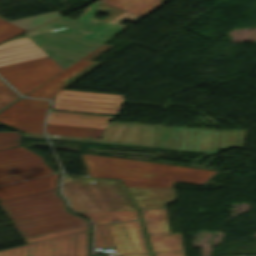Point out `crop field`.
<instances>
[{
    "instance_id": "1",
    "label": "crop field",
    "mask_w": 256,
    "mask_h": 256,
    "mask_svg": "<svg viewBox=\"0 0 256 256\" xmlns=\"http://www.w3.org/2000/svg\"><path fill=\"white\" fill-rule=\"evenodd\" d=\"M80 155L90 177L121 179L125 187L172 188L173 182L202 185L218 173L107 156Z\"/></svg>"
},
{
    "instance_id": "2",
    "label": "crop field",
    "mask_w": 256,
    "mask_h": 256,
    "mask_svg": "<svg viewBox=\"0 0 256 256\" xmlns=\"http://www.w3.org/2000/svg\"><path fill=\"white\" fill-rule=\"evenodd\" d=\"M57 190L0 202L23 237L86 223L67 212Z\"/></svg>"
},
{
    "instance_id": "3",
    "label": "crop field",
    "mask_w": 256,
    "mask_h": 256,
    "mask_svg": "<svg viewBox=\"0 0 256 256\" xmlns=\"http://www.w3.org/2000/svg\"><path fill=\"white\" fill-rule=\"evenodd\" d=\"M79 214L91 218L94 223V247L114 246L118 255L149 253L136 210Z\"/></svg>"
},
{
    "instance_id": "4",
    "label": "crop field",
    "mask_w": 256,
    "mask_h": 256,
    "mask_svg": "<svg viewBox=\"0 0 256 256\" xmlns=\"http://www.w3.org/2000/svg\"><path fill=\"white\" fill-rule=\"evenodd\" d=\"M62 192L75 212L136 209L118 180L76 179L64 175Z\"/></svg>"
},
{
    "instance_id": "5",
    "label": "crop field",
    "mask_w": 256,
    "mask_h": 256,
    "mask_svg": "<svg viewBox=\"0 0 256 256\" xmlns=\"http://www.w3.org/2000/svg\"><path fill=\"white\" fill-rule=\"evenodd\" d=\"M28 245L0 251V256H89V224L24 238Z\"/></svg>"
},
{
    "instance_id": "6",
    "label": "crop field",
    "mask_w": 256,
    "mask_h": 256,
    "mask_svg": "<svg viewBox=\"0 0 256 256\" xmlns=\"http://www.w3.org/2000/svg\"><path fill=\"white\" fill-rule=\"evenodd\" d=\"M172 128L108 123L100 139L48 135L50 140L169 150ZM160 132L162 135L160 136Z\"/></svg>"
},
{
    "instance_id": "7",
    "label": "crop field",
    "mask_w": 256,
    "mask_h": 256,
    "mask_svg": "<svg viewBox=\"0 0 256 256\" xmlns=\"http://www.w3.org/2000/svg\"><path fill=\"white\" fill-rule=\"evenodd\" d=\"M61 71L49 57L0 67V75L23 96Z\"/></svg>"
},
{
    "instance_id": "8",
    "label": "crop field",
    "mask_w": 256,
    "mask_h": 256,
    "mask_svg": "<svg viewBox=\"0 0 256 256\" xmlns=\"http://www.w3.org/2000/svg\"><path fill=\"white\" fill-rule=\"evenodd\" d=\"M52 172L39 155L23 147L0 150V184Z\"/></svg>"
},
{
    "instance_id": "9",
    "label": "crop field",
    "mask_w": 256,
    "mask_h": 256,
    "mask_svg": "<svg viewBox=\"0 0 256 256\" xmlns=\"http://www.w3.org/2000/svg\"><path fill=\"white\" fill-rule=\"evenodd\" d=\"M122 100V95L62 90L53 109L116 115Z\"/></svg>"
},
{
    "instance_id": "10",
    "label": "crop field",
    "mask_w": 256,
    "mask_h": 256,
    "mask_svg": "<svg viewBox=\"0 0 256 256\" xmlns=\"http://www.w3.org/2000/svg\"><path fill=\"white\" fill-rule=\"evenodd\" d=\"M49 102L21 99L0 113V122L23 132L43 133L41 127Z\"/></svg>"
},
{
    "instance_id": "11",
    "label": "crop field",
    "mask_w": 256,
    "mask_h": 256,
    "mask_svg": "<svg viewBox=\"0 0 256 256\" xmlns=\"http://www.w3.org/2000/svg\"><path fill=\"white\" fill-rule=\"evenodd\" d=\"M140 211L153 252L183 250L180 234H169L165 209Z\"/></svg>"
},
{
    "instance_id": "12",
    "label": "crop field",
    "mask_w": 256,
    "mask_h": 256,
    "mask_svg": "<svg viewBox=\"0 0 256 256\" xmlns=\"http://www.w3.org/2000/svg\"><path fill=\"white\" fill-rule=\"evenodd\" d=\"M47 55L24 34L0 44V66Z\"/></svg>"
},
{
    "instance_id": "13",
    "label": "crop field",
    "mask_w": 256,
    "mask_h": 256,
    "mask_svg": "<svg viewBox=\"0 0 256 256\" xmlns=\"http://www.w3.org/2000/svg\"><path fill=\"white\" fill-rule=\"evenodd\" d=\"M107 46L109 45H102L86 57L82 58L81 60H79L78 62H76L75 64H73L72 66H70L57 76H55L54 78L50 79L34 91L27 94L26 97L53 99L56 92L69 85L63 83L64 81H66L68 78H70L71 76H73L74 74H76L89 64H91L92 62L86 60L93 57L95 54H97L99 51L106 48Z\"/></svg>"
},
{
    "instance_id": "14",
    "label": "crop field",
    "mask_w": 256,
    "mask_h": 256,
    "mask_svg": "<svg viewBox=\"0 0 256 256\" xmlns=\"http://www.w3.org/2000/svg\"><path fill=\"white\" fill-rule=\"evenodd\" d=\"M58 175L55 174L30 181L0 186V200L4 201L55 189Z\"/></svg>"
},
{
    "instance_id": "15",
    "label": "crop field",
    "mask_w": 256,
    "mask_h": 256,
    "mask_svg": "<svg viewBox=\"0 0 256 256\" xmlns=\"http://www.w3.org/2000/svg\"><path fill=\"white\" fill-rule=\"evenodd\" d=\"M111 119L105 116L51 112L47 123L94 127L90 137L100 138Z\"/></svg>"
},
{
    "instance_id": "16",
    "label": "crop field",
    "mask_w": 256,
    "mask_h": 256,
    "mask_svg": "<svg viewBox=\"0 0 256 256\" xmlns=\"http://www.w3.org/2000/svg\"><path fill=\"white\" fill-rule=\"evenodd\" d=\"M139 209L163 208L176 201L174 189L127 188Z\"/></svg>"
},
{
    "instance_id": "17",
    "label": "crop field",
    "mask_w": 256,
    "mask_h": 256,
    "mask_svg": "<svg viewBox=\"0 0 256 256\" xmlns=\"http://www.w3.org/2000/svg\"><path fill=\"white\" fill-rule=\"evenodd\" d=\"M59 16H61V14L55 11L11 22L0 18V43Z\"/></svg>"
},
{
    "instance_id": "18",
    "label": "crop field",
    "mask_w": 256,
    "mask_h": 256,
    "mask_svg": "<svg viewBox=\"0 0 256 256\" xmlns=\"http://www.w3.org/2000/svg\"><path fill=\"white\" fill-rule=\"evenodd\" d=\"M138 16H145L167 2L166 0H100Z\"/></svg>"
},
{
    "instance_id": "19",
    "label": "crop field",
    "mask_w": 256,
    "mask_h": 256,
    "mask_svg": "<svg viewBox=\"0 0 256 256\" xmlns=\"http://www.w3.org/2000/svg\"><path fill=\"white\" fill-rule=\"evenodd\" d=\"M47 134L89 137L93 128L45 124Z\"/></svg>"
},
{
    "instance_id": "20",
    "label": "crop field",
    "mask_w": 256,
    "mask_h": 256,
    "mask_svg": "<svg viewBox=\"0 0 256 256\" xmlns=\"http://www.w3.org/2000/svg\"><path fill=\"white\" fill-rule=\"evenodd\" d=\"M20 145V132H0V149Z\"/></svg>"
},
{
    "instance_id": "21",
    "label": "crop field",
    "mask_w": 256,
    "mask_h": 256,
    "mask_svg": "<svg viewBox=\"0 0 256 256\" xmlns=\"http://www.w3.org/2000/svg\"><path fill=\"white\" fill-rule=\"evenodd\" d=\"M18 96L12 89H10L4 82L0 80V109L17 99Z\"/></svg>"
},
{
    "instance_id": "22",
    "label": "crop field",
    "mask_w": 256,
    "mask_h": 256,
    "mask_svg": "<svg viewBox=\"0 0 256 256\" xmlns=\"http://www.w3.org/2000/svg\"><path fill=\"white\" fill-rule=\"evenodd\" d=\"M113 47L112 45L104 50H102L100 53H98L97 55H95L93 58H91L90 60L95 59L97 56H99L100 54H102L104 51H106L107 49ZM102 62H94L91 65H89L88 67H86L85 69H83L82 71H80L79 73H77L76 75H74L73 77H71L69 80H67L65 83H73L74 81H76L77 79H79L80 77H82L83 75H85L87 72H89L90 70H92L93 68H95L96 66H98L99 64H101Z\"/></svg>"
},
{
    "instance_id": "23",
    "label": "crop field",
    "mask_w": 256,
    "mask_h": 256,
    "mask_svg": "<svg viewBox=\"0 0 256 256\" xmlns=\"http://www.w3.org/2000/svg\"><path fill=\"white\" fill-rule=\"evenodd\" d=\"M154 256H183V251L153 253Z\"/></svg>"
},
{
    "instance_id": "24",
    "label": "crop field",
    "mask_w": 256,
    "mask_h": 256,
    "mask_svg": "<svg viewBox=\"0 0 256 256\" xmlns=\"http://www.w3.org/2000/svg\"><path fill=\"white\" fill-rule=\"evenodd\" d=\"M24 137L46 139L44 134L24 133Z\"/></svg>"
},
{
    "instance_id": "25",
    "label": "crop field",
    "mask_w": 256,
    "mask_h": 256,
    "mask_svg": "<svg viewBox=\"0 0 256 256\" xmlns=\"http://www.w3.org/2000/svg\"><path fill=\"white\" fill-rule=\"evenodd\" d=\"M122 256H150V254L122 255Z\"/></svg>"
}]
</instances>
